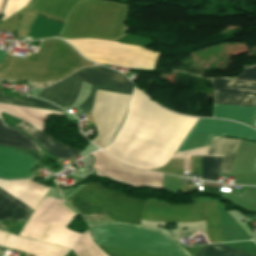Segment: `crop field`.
<instances>
[{"label":"crop field","instance_id":"crop-field-1","mask_svg":"<svg viewBox=\"0 0 256 256\" xmlns=\"http://www.w3.org/2000/svg\"><path fill=\"white\" fill-rule=\"evenodd\" d=\"M196 121L161 109L135 88L121 129L103 150L128 165L158 168L174 154Z\"/></svg>","mask_w":256,"mask_h":256},{"label":"crop field","instance_id":"crop-field-2","mask_svg":"<svg viewBox=\"0 0 256 256\" xmlns=\"http://www.w3.org/2000/svg\"><path fill=\"white\" fill-rule=\"evenodd\" d=\"M75 216L60 200L44 196L19 236L72 248L77 256H107L94 243L88 230L79 235L65 229Z\"/></svg>","mask_w":256,"mask_h":256},{"label":"crop field","instance_id":"crop-field-3","mask_svg":"<svg viewBox=\"0 0 256 256\" xmlns=\"http://www.w3.org/2000/svg\"><path fill=\"white\" fill-rule=\"evenodd\" d=\"M93 240L166 256H190L178 242L134 224L114 222L89 226ZM95 241V242H96ZM109 256H161L96 242Z\"/></svg>","mask_w":256,"mask_h":256},{"label":"crop field","instance_id":"crop-field-4","mask_svg":"<svg viewBox=\"0 0 256 256\" xmlns=\"http://www.w3.org/2000/svg\"><path fill=\"white\" fill-rule=\"evenodd\" d=\"M0 189L31 213L43 198L49 187L30 181H0ZM0 190V220L25 222L31 214ZM10 233L0 230V246ZM3 247L21 250L36 256H64L69 250L12 236Z\"/></svg>","mask_w":256,"mask_h":256},{"label":"crop field","instance_id":"crop-field-5","mask_svg":"<svg viewBox=\"0 0 256 256\" xmlns=\"http://www.w3.org/2000/svg\"><path fill=\"white\" fill-rule=\"evenodd\" d=\"M66 202L83 215L86 221H123L138 224L146 201L91 182Z\"/></svg>","mask_w":256,"mask_h":256},{"label":"crop field","instance_id":"crop-field-6","mask_svg":"<svg viewBox=\"0 0 256 256\" xmlns=\"http://www.w3.org/2000/svg\"><path fill=\"white\" fill-rule=\"evenodd\" d=\"M81 80L92 84L89 97L78 107L88 113H90L95 89L129 95L133 89V84L121 74L104 67L91 66L80 69L68 78L44 89L40 97L70 107L79 93Z\"/></svg>","mask_w":256,"mask_h":256},{"label":"crop field","instance_id":"crop-field-7","mask_svg":"<svg viewBox=\"0 0 256 256\" xmlns=\"http://www.w3.org/2000/svg\"><path fill=\"white\" fill-rule=\"evenodd\" d=\"M130 97L129 95L96 90L91 116L97 136L91 141L100 148L109 143L126 111Z\"/></svg>","mask_w":256,"mask_h":256},{"label":"crop field","instance_id":"crop-field-8","mask_svg":"<svg viewBox=\"0 0 256 256\" xmlns=\"http://www.w3.org/2000/svg\"><path fill=\"white\" fill-rule=\"evenodd\" d=\"M212 136H232L256 141V131L251 128L230 122L198 119L177 152L207 145Z\"/></svg>","mask_w":256,"mask_h":256},{"label":"crop field","instance_id":"crop-field-9","mask_svg":"<svg viewBox=\"0 0 256 256\" xmlns=\"http://www.w3.org/2000/svg\"><path fill=\"white\" fill-rule=\"evenodd\" d=\"M0 98L42 102V101L30 98V97H28L27 99L16 98V97H6L2 94L1 90H0ZM8 99H0V103L64 112L51 104L8 100ZM2 104H0V114H1V111H3L10 115H13L19 119H22V120L30 123L32 126L37 128L41 132L45 129L44 123H45L46 118L49 115H51V114L61 115L62 114L60 112L45 111V110L16 107V106H9V105H2Z\"/></svg>","mask_w":256,"mask_h":256},{"label":"crop field","instance_id":"crop-field-10","mask_svg":"<svg viewBox=\"0 0 256 256\" xmlns=\"http://www.w3.org/2000/svg\"><path fill=\"white\" fill-rule=\"evenodd\" d=\"M214 103L254 106L256 102V83L211 79Z\"/></svg>","mask_w":256,"mask_h":256},{"label":"crop field","instance_id":"crop-field-11","mask_svg":"<svg viewBox=\"0 0 256 256\" xmlns=\"http://www.w3.org/2000/svg\"><path fill=\"white\" fill-rule=\"evenodd\" d=\"M19 150L25 156H27L35 165L44 155L43 152L22 149ZM19 150L14 148L0 147V177H31V169L35 165Z\"/></svg>","mask_w":256,"mask_h":256},{"label":"crop field","instance_id":"crop-field-12","mask_svg":"<svg viewBox=\"0 0 256 256\" xmlns=\"http://www.w3.org/2000/svg\"><path fill=\"white\" fill-rule=\"evenodd\" d=\"M143 220L193 222L204 220L201 204L168 205L147 201Z\"/></svg>","mask_w":256,"mask_h":256},{"label":"crop field","instance_id":"crop-field-13","mask_svg":"<svg viewBox=\"0 0 256 256\" xmlns=\"http://www.w3.org/2000/svg\"><path fill=\"white\" fill-rule=\"evenodd\" d=\"M15 127L23 130L25 133L35 138L41 145V147H43L49 154L57 158H75L79 153L82 152L67 147L66 145L58 142L57 140L40 133L38 130H36L34 127L24 121L20 122Z\"/></svg>","mask_w":256,"mask_h":256},{"label":"crop field","instance_id":"crop-field-14","mask_svg":"<svg viewBox=\"0 0 256 256\" xmlns=\"http://www.w3.org/2000/svg\"><path fill=\"white\" fill-rule=\"evenodd\" d=\"M238 141V139H228L223 137L212 138L207 156H222L218 172H231Z\"/></svg>","mask_w":256,"mask_h":256},{"label":"crop field","instance_id":"crop-field-15","mask_svg":"<svg viewBox=\"0 0 256 256\" xmlns=\"http://www.w3.org/2000/svg\"><path fill=\"white\" fill-rule=\"evenodd\" d=\"M0 146L41 151L35 141L8 127L2 118H0Z\"/></svg>","mask_w":256,"mask_h":256},{"label":"crop field","instance_id":"crop-field-16","mask_svg":"<svg viewBox=\"0 0 256 256\" xmlns=\"http://www.w3.org/2000/svg\"><path fill=\"white\" fill-rule=\"evenodd\" d=\"M212 112L256 116V108L213 104ZM212 113V117L237 120L255 125L256 117Z\"/></svg>","mask_w":256,"mask_h":256},{"label":"crop field","instance_id":"crop-field-17","mask_svg":"<svg viewBox=\"0 0 256 256\" xmlns=\"http://www.w3.org/2000/svg\"><path fill=\"white\" fill-rule=\"evenodd\" d=\"M205 218L207 223V237L211 243L224 242L221 230L220 221L217 213L216 203H203Z\"/></svg>","mask_w":256,"mask_h":256},{"label":"crop field","instance_id":"crop-field-18","mask_svg":"<svg viewBox=\"0 0 256 256\" xmlns=\"http://www.w3.org/2000/svg\"><path fill=\"white\" fill-rule=\"evenodd\" d=\"M196 256H252L229 247L215 244L201 249Z\"/></svg>","mask_w":256,"mask_h":256},{"label":"crop field","instance_id":"crop-field-19","mask_svg":"<svg viewBox=\"0 0 256 256\" xmlns=\"http://www.w3.org/2000/svg\"><path fill=\"white\" fill-rule=\"evenodd\" d=\"M221 157H201L202 179L217 181V171Z\"/></svg>","mask_w":256,"mask_h":256},{"label":"crop field","instance_id":"crop-field-20","mask_svg":"<svg viewBox=\"0 0 256 256\" xmlns=\"http://www.w3.org/2000/svg\"><path fill=\"white\" fill-rule=\"evenodd\" d=\"M235 79L256 81V64L244 67L243 71Z\"/></svg>","mask_w":256,"mask_h":256},{"label":"crop field","instance_id":"crop-field-21","mask_svg":"<svg viewBox=\"0 0 256 256\" xmlns=\"http://www.w3.org/2000/svg\"><path fill=\"white\" fill-rule=\"evenodd\" d=\"M202 185L219 188L221 184L202 181Z\"/></svg>","mask_w":256,"mask_h":256},{"label":"crop field","instance_id":"crop-field-22","mask_svg":"<svg viewBox=\"0 0 256 256\" xmlns=\"http://www.w3.org/2000/svg\"><path fill=\"white\" fill-rule=\"evenodd\" d=\"M4 54H5V52L0 51V63L2 61V58H3Z\"/></svg>","mask_w":256,"mask_h":256},{"label":"crop field","instance_id":"crop-field-23","mask_svg":"<svg viewBox=\"0 0 256 256\" xmlns=\"http://www.w3.org/2000/svg\"><path fill=\"white\" fill-rule=\"evenodd\" d=\"M1 1H2V0H0V6H1Z\"/></svg>","mask_w":256,"mask_h":256}]
</instances>
